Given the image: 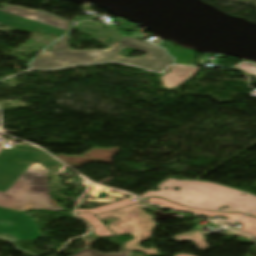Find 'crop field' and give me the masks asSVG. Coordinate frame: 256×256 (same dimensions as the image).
Here are the masks:
<instances>
[{"label":"crop field","mask_w":256,"mask_h":256,"mask_svg":"<svg viewBox=\"0 0 256 256\" xmlns=\"http://www.w3.org/2000/svg\"><path fill=\"white\" fill-rule=\"evenodd\" d=\"M42 154L43 151L29 146L16 145L10 150L0 148V190L5 191Z\"/></svg>","instance_id":"obj_6"},{"label":"crop field","mask_w":256,"mask_h":256,"mask_svg":"<svg viewBox=\"0 0 256 256\" xmlns=\"http://www.w3.org/2000/svg\"><path fill=\"white\" fill-rule=\"evenodd\" d=\"M31 28L37 29V30H44V29H45V28H43V27H31Z\"/></svg>","instance_id":"obj_25"},{"label":"crop field","mask_w":256,"mask_h":256,"mask_svg":"<svg viewBox=\"0 0 256 256\" xmlns=\"http://www.w3.org/2000/svg\"><path fill=\"white\" fill-rule=\"evenodd\" d=\"M122 22H123V25H124V29L130 30L134 26L133 24H128V23H126L124 21H122Z\"/></svg>","instance_id":"obj_22"},{"label":"crop field","mask_w":256,"mask_h":256,"mask_svg":"<svg viewBox=\"0 0 256 256\" xmlns=\"http://www.w3.org/2000/svg\"><path fill=\"white\" fill-rule=\"evenodd\" d=\"M151 199H153V198H150L149 200H151ZM149 200H148V201H149Z\"/></svg>","instance_id":"obj_29"},{"label":"crop field","mask_w":256,"mask_h":256,"mask_svg":"<svg viewBox=\"0 0 256 256\" xmlns=\"http://www.w3.org/2000/svg\"><path fill=\"white\" fill-rule=\"evenodd\" d=\"M176 256H193V255H186V254H178Z\"/></svg>","instance_id":"obj_26"},{"label":"crop field","mask_w":256,"mask_h":256,"mask_svg":"<svg viewBox=\"0 0 256 256\" xmlns=\"http://www.w3.org/2000/svg\"><path fill=\"white\" fill-rule=\"evenodd\" d=\"M0 23L16 26L29 31L30 26H43L47 30L41 31L48 34L61 37L67 30V22L41 12L19 9L8 6L4 10H0Z\"/></svg>","instance_id":"obj_5"},{"label":"crop field","mask_w":256,"mask_h":256,"mask_svg":"<svg viewBox=\"0 0 256 256\" xmlns=\"http://www.w3.org/2000/svg\"><path fill=\"white\" fill-rule=\"evenodd\" d=\"M159 46L167 49L168 53L175 57V63L189 65L194 60V52H185L179 47H174L169 42H162Z\"/></svg>","instance_id":"obj_11"},{"label":"crop field","mask_w":256,"mask_h":256,"mask_svg":"<svg viewBox=\"0 0 256 256\" xmlns=\"http://www.w3.org/2000/svg\"><path fill=\"white\" fill-rule=\"evenodd\" d=\"M76 27L79 31L110 46L116 43L123 36L114 28L102 29L97 27L95 22L90 21H82Z\"/></svg>","instance_id":"obj_9"},{"label":"crop field","mask_w":256,"mask_h":256,"mask_svg":"<svg viewBox=\"0 0 256 256\" xmlns=\"http://www.w3.org/2000/svg\"><path fill=\"white\" fill-rule=\"evenodd\" d=\"M140 201L141 200L133 202L131 199H128V200L120 201V202H117V203H114V204L97 207V208H94V209H91V210H77V212L97 214L99 212H103V211H107V210H111V209L127 206V205H130V204H133V203H137V202H140Z\"/></svg>","instance_id":"obj_17"},{"label":"crop field","mask_w":256,"mask_h":256,"mask_svg":"<svg viewBox=\"0 0 256 256\" xmlns=\"http://www.w3.org/2000/svg\"><path fill=\"white\" fill-rule=\"evenodd\" d=\"M140 203L125 208L114 210L108 213L97 215L99 219L115 216L119 220L111 223L108 227L116 236L128 232L134 236V239L125 243L124 248L129 250L141 251L144 254L158 255L155 248L144 249L139 246V241L150 238L151 229L157 225L153 223V217L142 211ZM140 213L138 218L127 217L128 214Z\"/></svg>","instance_id":"obj_3"},{"label":"crop field","mask_w":256,"mask_h":256,"mask_svg":"<svg viewBox=\"0 0 256 256\" xmlns=\"http://www.w3.org/2000/svg\"><path fill=\"white\" fill-rule=\"evenodd\" d=\"M93 18H95V17H88V18H79V17H76L77 21H79V20L93 19Z\"/></svg>","instance_id":"obj_24"},{"label":"crop field","mask_w":256,"mask_h":256,"mask_svg":"<svg viewBox=\"0 0 256 256\" xmlns=\"http://www.w3.org/2000/svg\"><path fill=\"white\" fill-rule=\"evenodd\" d=\"M125 47L134 48L147 52L148 55L144 58L129 59L125 57H120L118 54L121 49ZM102 61H119L135 66L144 67L146 69L155 70V71H164L167 65L172 63V58L168 56L164 49L155 47L148 42L136 40L123 36L118 44L111 50L105 52L96 62Z\"/></svg>","instance_id":"obj_4"},{"label":"crop field","mask_w":256,"mask_h":256,"mask_svg":"<svg viewBox=\"0 0 256 256\" xmlns=\"http://www.w3.org/2000/svg\"><path fill=\"white\" fill-rule=\"evenodd\" d=\"M88 51L71 52L70 50L48 51L32 62L33 69H53L71 64L91 63L87 57Z\"/></svg>","instance_id":"obj_8"},{"label":"crop field","mask_w":256,"mask_h":256,"mask_svg":"<svg viewBox=\"0 0 256 256\" xmlns=\"http://www.w3.org/2000/svg\"><path fill=\"white\" fill-rule=\"evenodd\" d=\"M70 36L66 35L63 38H61L57 44L51 49H69L68 48V44H67V40L69 39Z\"/></svg>","instance_id":"obj_20"},{"label":"crop field","mask_w":256,"mask_h":256,"mask_svg":"<svg viewBox=\"0 0 256 256\" xmlns=\"http://www.w3.org/2000/svg\"><path fill=\"white\" fill-rule=\"evenodd\" d=\"M249 215L256 216V211H255V212H253V213H251V214H249Z\"/></svg>","instance_id":"obj_28"},{"label":"crop field","mask_w":256,"mask_h":256,"mask_svg":"<svg viewBox=\"0 0 256 256\" xmlns=\"http://www.w3.org/2000/svg\"><path fill=\"white\" fill-rule=\"evenodd\" d=\"M116 44H117V43H116ZM116 44H114V46H115ZM114 46H113V47H114ZM113 47H111V48H109V49H107V50H110V49H112ZM71 51H73V50H71ZM105 51H106V50H89L88 57H89L90 59H93V60L98 59Z\"/></svg>","instance_id":"obj_21"},{"label":"crop field","mask_w":256,"mask_h":256,"mask_svg":"<svg viewBox=\"0 0 256 256\" xmlns=\"http://www.w3.org/2000/svg\"><path fill=\"white\" fill-rule=\"evenodd\" d=\"M169 179V178H168ZM157 192L148 191L141 197L160 196L190 208L224 212L248 213L256 209V196L238 190L226 188L211 182L179 181L169 179L158 186ZM165 187L168 190H165ZM173 187L180 188L173 191ZM228 205V209L218 210Z\"/></svg>","instance_id":"obj_1"},{"label":"crop field","mask_w":256,"mask_h":256,"mask_svg":"<svg viewBox=\"0 0 256 256\" xmlns=\"http://www.w3.org/2000/svg\"><path fill=\"white\" fill-rule=\"evenodd\" d=\"M81 218L88 220L93 225V231L100 237L114 236L93 214H78Z\"/></svg>","instance_id":"obj_13"},{"label":"crop field","mask_w":256,"mask_h":256,"mask_svg":"<svg viewBox=\"0 0 256 256\" xmlns=\"http://www.w3.org/2000/svg\"><path fill=\"white\" fill-rule=\"evenodd\" d=\"M0 225L13 226V224L11 222H7V221H3V220H0Z\"/></svg>","instance_id":"obj_23"},{"label":"crop field","mask_w":256,"mask_h":256,"mask_svg":"<svg viewBox=\"0 0 256 256\" xmlns=\"http://www.w3.org/2000/svg\"><path fill=\"white\" fill-rule=\"evenodd\" d=\"M237 222L242 224V227L238 231L256 237V218L245 216Z\"/></svg>","instance_id":"obj_16"},{"label":"crop field","mask_w":256,"mask_h":256,"mask_svg":"<svg viewBox=\"0 0 256 256\" xmlns=\"http://www.w3.org/2000/svg\"><path fill=\"white\" fill-rule=\"evenodd\" d=\"M35 162H39L45 169H47L48 174L55 173L62 169L64 165L59 163L58 161L54 160L46 153L40 156Z\"/></svg>","instance_id":"obj_15"},{"label":"crop field","mask_w":256,"mask_h":256,"mask_svg":"<svg viewBox=\"0 0 256 256\" xmlns=\"http://www.w3.org/2000/svg\"><path fill=\"white\" fill-rule=\"evenodd\" d=\"M237 68L242 70V71H244V72H246V73H250V74L256 75V66L253 65V64L243 63L242 65H240Z\"/></svg>","instance_id":"obj_19"},{"label":"crop field","mask_w":256,"mask_h":256,"mask_svg":"<svg viewBox=\"0 0 256 256\" xmlns=\"http://www.w3.org/2000/svg\"><path fill=\"white\" fill-rule=\"evenodd\" d=\"M150 202H154L157 203L159 205H163V206H167V207H172V208H177V209H182V210H190L191 212H195L197 214H202V215H206L208 217H212L214 215H224V216H229V218L227 220H237L238 218H240L241 216H243V214H239V213H215V212H207V211H199V210H193L190 208H186L183 206H179L170 202H167L163 199L160 198H156Z\"/></svg>","instance_id":"obj_12"},{"label":"crop field","mask_w":256,"mask_h":256,"mask_svg":"<svg viewBox=\"0 0 256 256\" xmlns=\"http://www.w3.org/2000/svg\"><path fill=\"white\" fill-rule=\"evenodd\" d=\"M175 240H191L193 241L200 250L207 248V243H204L203 234L200 231H192L189 233L174 236Z\"/></svg>","instance_id":"obj_14"},{"label":"crop field","mask_w":256,"mask_h":256,"mask_svg":"<svg viewBox=\"0 0 256 256\" xmlns=\"http://www.w3.org/2000/svg\"><path fill=\"white\" fill-rule=\"evenodd\" d=\"M199 68L188 67V66H173L169 73L163 76L165 79V87L174 88L186 80L192 78Z\"/></svg>","instance_id":"obj_10"},{"label":"crop field","mask_w":256,"mask_h":256,"mask_svg":"<svg viewBox=\"0 0 256 256\" xmlns=\"http://www.w3.org/2000/svg\"><path fill=\"white\" fill-rule=\"evenodd\" d=\"M0 219L11 221L14 227L0 226V233L19 240L33 239L42 236L35 221L28 215L0 208Z\"/></svg>","instance_id":"obj_7"},{"label":"crop field","mask_w":256,"mask_h":256,"mask_svg":"<svg viewBox=\"0 0 256 256\" xmlns=\"http://www.w3.org/2000/svg\"><path fill=\"white\" fill-rule=\"evenodd\" d=\"M128 216H131V217H138V216H139V214L128 215Z\"/></svg>","instance_id":"obj_27"},{"label":"crop field","mask_w":256,"mask_h":256,"mask_svg":"<svg viewBox=\"0 0 256 256\" xmlns=\"http://www.w3.org/2000/svg\"><path fill=\"white\" fill-rule=\"evenodd\" d=\"M55 202L49 195L47 171L38 163L31 165L6 193L0 192V206L17 211L62 210Z\"/></svg>","instance_id":"obj_2"},{"label":"crop field","mask_w":256,"mask_h":256,"mask_svg":"<svg viewBox=\"0 0 256 256\" xmlns=\"http://www.w3.org/2000/svg\"><path fill=\"white\" fill-rule=\"evenodd\" d=\"M129 253H130V251H125L120 255H100V254L94 253V252L84 248L80 252H78L77 254H75L73 256H128Z\"/></svg>","instance_id":"obj_18"}]
</instances>
